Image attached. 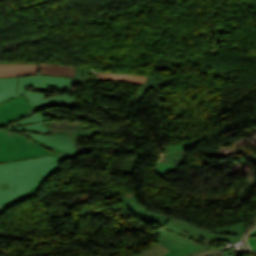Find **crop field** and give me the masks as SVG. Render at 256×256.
<instances>
[{
    "label": "crop field",
    "mask_w": 256,
    "mask_h": 256,
    "mask_svg": "<svg viewBox=\"0 0 256 256\" xmlns=\"http://www.w3.org/2000/svg\"><path fill=\"white\" fill-rule=\"evenodd\" d=\"M158 83L155 78L152 76H149L147 80L145 81L144 85L142 88L138 91V93L135 95V97L132 99V102H137L140 103L141 98L144 96V94L148 91V89L151 87L153 89L158 88Z\"/></svg>",
    "instance_id": "11"
},
{
    "label": "crop field",
    "mask_w": 256,
    "mask_h": 256,
    "mask_svg": "<svg viewBox=\"0 0 256 256\" xmlns=\"http://www.w3.org/2000/svg\"><path fill=\"white\" fill-rule=\"evenodd\" d=\"M168 250L164 248L160 243L133 256H163Z\"/></svg>",
    "instance_id": "12"
},
{
    "label": "crop field",
    "mask_w": 256,
    "mask_h": 256,
    "mask_svg": "<svg viewBox=\"0 0 256 256\" xmlns=\"http://www.w3.org/2000/svg\"><path fill=\"white\" fill-rule=\"evenodd\" d=\"M246 226L241 224L204 230L171 218L161 231L160 243L174 256H203L217 249L210 246L214 240L236 243Z\"/></svg>",
    "instance_id": "2"
},
{
    "label": "crop field",
    "mask_w": 256,
    "mask_h": 256,
    "mask_svg": "<svg viewBox=\"0 0 256 256\" xmlns=\"http://www.w3.org/2000/svg\"><path fill=\"white\" fill-rule=\"evenodd\" d=\"M5 128L52 132L51 136L29 132H22V134L40 143L55 155L0 165V212L20 200L35 196L43 181L60 167L59 161L91 149V146L75 148L78 137L101 133L100 129L51 128L42 113H36Z\"/></svg>",
    "instance_id": "1"
},
{
    "label": "crop field",
    "mask_w": 256,
    "mask_h": 256,
    "mask_svg": "<svg viewBox=\"0 0 256 256\" xmlns=\"http://www.w3.org/2000/svg\"><path fill=\"white\" fill-rule=\"evenodd\" d=\"M95 73L98 72V71H95L94 69H92ZM127 75H131V74H127ZM141 76H144V75H141ZM120 82V81H119Z\"/></svg>",
    "instance_id": "15"
},
{
    "label": "crop field",
    "mask_w": 256,
    "mask_h": 256,
    "mask_svg": "<svg viewBox=\"0 0 256 256\" xmlns=\"http://www.w3.org/2000/svg\"><path fill=\"white\" fill-rule=\"evenodd\" d=\"M164 256H173L171 252H168L166 255Z\"/></svg>",
    "instance_id": "14"
},
{
    "label": "crop field",
    "mask_w": 256,
    "mask_h": 256,
    "mask_svg": "<svg viewBox=\"0 0 256 256\" xmlns=\"http://www.w3.org/2000/svg\"><path fill=\"white\" fill-rule=\"evenodd\" d=\"M119 198L123 202L124 206L128 208L130 211L161 226H164L170 219L169 217L166 216H160L148 212L145 207H142L138 204V200L135 193L122 195L119 196Z\"/></svg>",
    "instance_id": "6"
},
{
    "label": "crop field",
    "mask_w": 256,
    "mask_h": 256,
    "mask_svg": "<svg viewBox=\"0 0 256 256\" xmlns=\"http://www.w3.org/2000/svg\"><path fill=\"white\" fill-rule=\"evenodd\" d=\"M18 77L0 79V102L17 95Z\"/></svg>",
    "instance_id": "9"
},
{
    "label": "crop field",
    "mask_w": 256,
    "mask_h": 256,
    "mask_svg": "<svg viewBox=\"0 0 256 256\" xmlns=\"http://www.w3.org/2000/svg\"><path fill=\"white\" fill-rule=\"evenodd\" d=\"M36 113L25 94L0 104V126L8 125ZM54 154L32 139L0 131V163Z\"/></svg>",
    "instance_id": "3"
},
{
    "label": "crop field",
    "mask_w": 256,
    "mask_h": 256,
    "mask_svg": "<svg viewBox=\"0 0 256 256\" xmlns=\"http://www.w3.org/2000/svg\"><path fill=\"white\" fill-rule=\"evenodd\" d=\"M75 79L43 76V75H33L19 77V87L18 94L25 93L35 108L39 110L41 108L49 106L67 105L74 104L76 98L69 97L68 95H60L56 97L49 98L48 94L36 93L25 91V86H36V87H48V88H59V89H69L71 90Z\"/></svg>",
    "instance_id": "4"
},
{
    "label": "crop field",
    "mask_w": 256,
    "mask_h": 256,
    "mask_svg": "<svg viewBox=\"0 0 256 256\" xmlns=\"http://www.w3.org/2000/svg\"><path fill=\"white\" fill-rule=\"evenodd\" d=\"M38 74V63H0V78Z\"/></svg>",
    "instance_id": "7"
},
{
    "label": "crop field",
    "mask_w": 256,
    "mask_h": 256,
    "mask_svg": "<svg viewBox=\"0 0 256 256\" xmlns=\"http://www.w3.org/2000/svg\"><path fill=\"white\" fill-rule=\"evenodd\" d=\"M203 138H205V136L202 138L188 141L180 145L169 146L170 154L163 156V158L157 164L154 171H156L158 174L162 176L168 173L169 171L175 169L179 165L183 164L184 162H186L183 150L188 149L189 147H191L198 141L202 140Z\"/></svg>",
    "instance_id": "5"
},
{
    "label": "crop field",
    "mask_w": 256,
    "mask_h": 256,
    "mask_svg": "<svg viewBox=\"0 0 256 256\" xmlns=\"http://www.w3.org/2000/svg\"><path fill=\"white\" fill-rule=\"evenodd\" d=\"M101 79L100 80H120L125 82H135L144 83L147 77L141 76H127V75H114V74H101L97 73Z\"/></svg>",
    "instance_id": "10"
},
{
    "label": "crop field",
    "mask_w": 256,
    "mask_h": 256,
    "mask_svg": "<svg viewBox=\"0 0 256 256\" xmlns=\"http://www.w3.org/2000/svg\"><path fill=\"white\" fill-rule=\"evenodd\" d=\"M247 242L253 251L256 252V229L249 234Z\"/></svg>",
    "instance_id": "13"
},
{
    "label": "crop field",
    "mask_w": 256,
    "mask_h": 256,
    "mask_svg": "<svg viewBox=\"0 0 256 256\" xmlns=\"http://www.w3.org/2000/svg\"><path fill=\"white\" fill-rule=\"evenodd\" d=\"M39 74L76 78L75 67L39 63Z\"/></svg>",
    "instance_id": "8"
}]
</instances>
